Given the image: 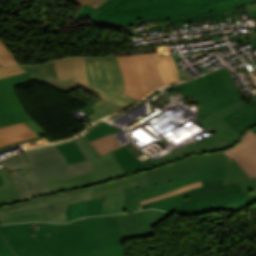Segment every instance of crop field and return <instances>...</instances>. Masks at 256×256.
I'll return each instance as SVG.
<instances>
[{
	"mask_svg": "<svg viewBox=\"0 0 256 256\" xmlns=\"http://www.w3.org/2000/svg\"><path fill=\"white\" fill-rule=\"evenodd\" d=\"M169 215L141 210L68 224H5L0 232L17 256H126L124 239L154 234L152 227Z\"/></svg>",
	"mask_w": 256,
	"mask_h": 256,
	"instance_id": "crop-field-1",
	"label": "crop field"
},
{
	"mask_svg": "<svg viewBox=\"0 0 256 256\" xmlns=\"http://www.w3.org/2000/svg\"><path fill=\"white\" fill-rule=\"evenodd\" d=\"M224 179L204 182L203 186L143 204L142 208H158L180 215L223 210L246 196L238 182L223 185Z\"/></svg>",
	"mask_w": 256,
	"mask_h": 256,
	"instance_id": "crop-field-2",
	"label": "crop field"
},
{
	"mask_svg": "<svg viewBox=\"0 0 256 256\" xmlns=\"http://www.w3.org/2000/svg\"><path fill=\"white\" fill-rule=\"evenodd\" d=\"M90 18L98 25L120 28L152 20L168 19L167 0H108L94 9L82 6L72 24Z\"/></svg>",
	"mask_w": 256,
	"mask_h": 256,
	"instance_id": "crop-field-3",
	"label": "crop field"
},
{
	"mask_svg": "<svg viewBox=\"0 0 256 256\" xmlns=\"http://www.w3.org/2000/svg\"><path fill=\"white\" fill-rule=\"evenodd\" d=\"M169 88L182 92L183 98L194 97L199 105L197 121L242 99L227 68Z\"/></svg>",
	"mask_w": 256,
	"mask_h": 256,
	"instance_id": "crop-field-4",
	"label": "crop field"
},
{
	"mask_svg": "<svg viewBox=\"0 0 256 256\" xmlns=\"http://www.w3.org/2000/svg\"><path fill=\"white\" fill-rule=\"evenodd\" d=\"M78 142L77 144L87 161L67 165L65 159L61 156L35 163H29L30 167L11 172L16 180L23 201L51 194L45 178L58 176L61 180L73 175L94 170L87 154Z\"/></svg>",
	"mask_w": 256,
	"mask_h": 256,
	"instance_id": "crop-field-5",
	"label": "crop field"
},
{
	"mask_svg": "<svg viewBox=\"0 0 256 256\" xmlns=\"http://www.w3.org/2000/svg\"><path fill=\"white\" fill-rule=\"evenodd\" d=\"M84 71L89 83L86 87L97 95L124 107L136 102L122 95L123 78L115 57L84 58Z\"/></svg>",
	"mask_w": 256,
	"mask_h": 256,
	"instance_id": "crop-field-6",
	"label": "crop field"
},
{
	"mask_svg": "<svg viewBox=\"0 0 256 256\" xmlns=\"http://www.w3.org/2000/svg\"><path fill=\"white\" fill-rule=\"evenodd\" d=\"M77 140L88 154L95 171L61 181L57 177L46 179L52 194L126 176L112 152L99 157L84 136Z\"/></svg>",
	"mask_w": 256,
	"mask_h": 256,
	"instance_id": "crop-field-7",
	"label": "crop field"
},
{
	"mask_svg": "<svg viewBox=\"0 0 256 256\" xmlns=\"http://www.w3.org/2000/svg\"><path fill=\"white\" fill-rule=\"evenodd\" d=\"M88 189H81L73 192L60 193L49 197H42L26 201L20 204L0 208V220L8 218L7 213L17 210L33 208L34 211L21 215L46 212L50 222H67L65 218L66 205L72 202L89 200Z\"/></svg>",
	"mask_w": 256,
	"mask_h": 256,
	"instance_id": "crop-field-8",
	"label": "crop field"
},
{
	"mask_svg": "<svg viewBox=\"0 0 256 256\" xmlns=\"http://www.w3.org/2000/svg\"><path fill=\"white\" fill-rule=\"evenodd\" d=\"M227 166L228 164L218 168L177 177L173 179L170 183H158L155 184L153 187L149 185L139 189H135L133 187L127 188L125 193L126 198L123 212L138 210V206H140L139 201L159 196L177 188L187 186L196 181L201 180L202 182H204L213 179L223 178L226 175Z\"/></svg>",
	"mask_w": 256,
	"mask_h": 256,
	"instance_id": "crop-field-9",
	"label": "crop field"
},
{
	"mask_svg": "<svg viewBox=\"0 0 256 256\" xmlns=\"http://www.w3.org/2000/svg\"><path fill=\"white\" fill-rule=\"evenodd\" d=\"M33 80L27 72L0 79V127L25 121L37 136L46 134L26 114L14 90V86Z\"/></svg>",
	"mask_w": 256,
	"mask_h": 256,
	"instance_id": "crop-field-10",
	"label": "crop field"
},
{
	"mask_svg": "<svg viewBox=\"0 0 256 256\" xmlns=\"http://www.w3.org/2000/svg\"><path fill=\"white\" fill-rule=\"evenodd\" d=\"M228 161L229 157L223 152L196 155L145 173L153 186L157 182H170L174 177L218 167L227 164Z\"/></svg>",
	"mask_w": 256,
	"mask_h": 256,
	"instance_id": "crop-field-11",
	"label": "crop field"
},
{
	"mask_svg": "<svg viewBox=\"0 0 256 256\" xmlns=\"http://www.w3.org/2000/svg\"><path fill=\"white\" fill-rule=\"evenodd\" d=\"M117 59L124 78V95L139 100L152 91L143 54Z\"/></svg>",
	"mask_w": 256,
	"mask_h": 256,
	"instance_id": "crop-field-12",
	"label": "crop field"
},
{
	"mask_svg": "<svg viewBox=\"0 0 256 256\" xmlns=\"http://www.w3.org/2000/svg\"><path fill=\"white\" fill-rule=\"evenodd\" d=\"M215 1L218 0H168L169 19L172 22L213 16L226 19L223 12H217Z\"/></svg>",
	"mask_w": 256,
	"mask_h": 256,
	"instance_id": "crop-field-13",
	"label": "crop field"
},
{
	"mask_svg": "<svg viewBox=\"0 0 256 256\" xmlns=\"http://www.w3.org/2000/svg\"><path fill=\"white\" fill-rule=\"evenodd\" d=\"M223 152L233 158L250 178L256 176V134L254 132L248 130L236 146Z\"/></svg>",
	"mask_w": 256,
	"mask_h": 256,
	"instance_id": "crop-field-14",
	"label": "crop field"
},
{
	"mask_svg": "<svg viewBox=\"0 0 256 256\" xmlns=\"http://www.w3.org/2000/svg\"><path fill=\"white\" fill-rule=\"evenodd\" d=\"M244 105L245 104L243 100H241L237 103H234L216 111L215 113L211 114L210 116L204 118L197 123L203 128L211 130L214 132V134L235 144L236 142H238L241 133L230 124H228L226 121H224L222 117L243 107Z\"/></svg>",
	"mask_w": 256,
	"mask_h": 256,
	"instance_id": "crop-field-15",
	"label": "crop field"
},
{
	"mask_svg": "<svg viewBox=\"0 0 256 256\" xmlns=\"http://www.w3.org/2000/svg\"><path fill=\"white\" fill-rule=\"evenodd\" d=\"M232 145L233 144L214 135L206 139L197 141L195 143L189 144L178 150H175L165 157H162V158L158 157L159 159L152 160V163L154 167H157L162 164L183 158L187 155H191L195 153H204V152H216V151L224 150Z\"/></svg>",
	"mask_w": 256,
	"mask_h": 256,
	"instance_id": "crop-field-16",
	"label": "crop field"
},
{
	"mask_svg": "<svg viewBox=\"0 0 256 256\" xmlns=\"http://www.w3.org/2000/svg\"><path fill=\"white\" fill-rule=\"evenodd\" d=\"M22 68H24L30 75H33V77H35L36 79H39L44 84L62 89L64 91H70L75 88V84L73 80H58L52 62L39 65V66L22 67ZM80 88L86 93L98 97L94 93L90 92L85 86H81Z\"/></svg>",
	"mask_w": 256,
	"mask_h": 256,
	"instance_id": "crop-field-17",
	"label": "crop field"
},
{
	"mask_svg": "<svg viewBox=\"0 0 256 256\" xmlns=\"http://www.w3.org/2000/svg\"><path fill=\"white\" fill-rule=\"evenodd\" d=\"M149 185V182L144 173L131 176L127 179L117 180L109 184L100 185L97 187L88 188L91 198H100L118 194H124L126 187L133 186L139 188Z\"/></svg>",
	"mask_w": 256,
	"mask_h": 256,
	"instance_id": "crop-field-18",
	"label": "crop field"
},
{
	"mask_svg": "<svg viewBox=\"0 0 256 256\" xmlns=\"http://www.w3.org/2000/svg\"><path fill=\"white\" fill-rule=\"evenodd\" d=\"M53 63L59 79H74L76 86L88 85L83 71V58H66Z\"/></svg>",
	"mask_w": 256,
	"mask_h": 256,
	"instance_id": "crop-field-19",
	"label": "crop field"
},
{
	"mask_svg": "<svg viewBox=\"0 0 256 256\" xmlns=\"http://www.w3.org/2000/svg\"><path fill=\"white\" fill-rule=\"evenodd\" d=\"M241 133L256 124V100L223 117Z\"/></svg>",
	"mask_w": 256,
	"mask_h": 256,
	"instance_id": "crop-field-20",
	"label": "crop field"
},
{
	"mask_svg": "<svg viewBox=\"0 0 256 256\" xmlns=\"http://www.w3.org/2000/svg\"><path fill=\"white\" fill-rule=\"evenodd\" d=\"M102 201L103 198L69 204L66 212L68 221L83 216L102 215Z\"/></svg>",
	"mask_w": 256,
	"mask_h": 256,
	"instance_id": "crop-field-21",
	"label": "crop field"
},
{
	"mask_svg": "<svg viewBox=\"0 0 256 256\" xmlns=\"http://www.w3.org/2000/svg\"><path fill=\"white\" fill-rule=\"evenodd\" d=\"M0 177L4 182L0 185V205L22 201L15 180L9 170H0Z\"/></svg>",
	"mask_w": 256,
	"mask_h": 256,
	"instance_id": "crop-field-22",
	"label": "crop field"
},
{
	"mask_svg": "<svg viewBox=\"0 0 256 256\" xmlns=\"http://www.w3.org/2000/svg\"><path fill=\"white\" fill-rule=\"evenodd\" d=\"M235 181L239 182L246 194H249L253 191L256 196V177L250 179L248 175L244 172V170L232 159L229 162L224 184Z\"/></svg>",
	"mask_w": 256,
	"mask_h": 256,
	"instance_id": "crop-field-23",
	"label": "crop field"
},
{
	"mask_svg": "<svg viewBox=\"0 0 256 256\" xmlns=\"http://www.w3.org/2000/svg\"><path fill=\"white\" fill-rule=\"evenodd\" d=\"M116 159L120 163L121 167L125 171L126 175L132 174L137 171L146 170L152 168L151 161L142 164L135 156H133L126 147H121L113 151Z\"/></svg>",
	"mask_w": 256,
	"mask_h": 256,
	"instance_id": "crop-field-24",
	"label": "crop field"
},
{
	"mask_svg": "<svg viewBox=\"0 0 256 256\" xmlns=\"http://www.w3.org/2000/svg\"><path fill=\"white\" fill-rule=\"evenodd\" d=\"M61 155L62 154L57 149L43 152V153H38V154L27 155V156H24V154L21 153L14 157H11L9 159L2 161V163L6 166L7 169L12 171L15 169L29 166L28 162H35V161L44 160V159L57 157Z\"/></svg>",
	"mask_w": 256,
	"mask_h": 256,
	"instance_id": "crop-field-25",
	"label": "crop field"
},
{
	"mask_svg": "<svg viewBox=\"0 0 256 256\" xmlns=\"http://www.w3.org/2000/svg\"><path fill=\"white\" fill-rule=\"evenodd\" d=\"M153 57L164 85L180 80L172 56L158 57L157 53H153Z\"/></svg>",
	"mask_w": 256,
	"mask_h": 256,
	"instance_id": "crop-field-26",
	"label": "crop field"
},
{
	"mask_svg": "<svg viewBox=\"0 0 256 256\" xmlns=\"http://www.w3.org/2000/svg\"><path fill=\"white\" fill-rule=\"evenodd\" d=\"M55 147L64 155L68 164L85 160L75 140L55 145Z\"/></svg>",
	"mask_w": 256,
	"mask_h": 256,
	"instance_id": "crop-field-27",
	"label": "crop field"
},
{
	"mask_svg": "<svg viewBox=\"0 0 256 256\" xmlns=\"http://www.w3.org/2000/svg\"><path fill=\"white\" fill-rule=\"evenodd\" d=\"M95 112L88 114V116L95 122L98 119L109 115L117 110H120L124 107H121L115 103H112L110 101H107L105 99L91 105Z\"/></svg>",
	"mask_w": 256,
	"mask_h": 256,
	"instance_id": "crop-field-28",
	"label": "crop field"
},
{
	"mask_svg": "<svg viewBox=\"0 0 256 256\" xmlns=\"http://www.w3.org/2000/svg\"><path fill=\"white\" fill-rule=\"evenodd\" d=\"M28 133L32 131L25 122L0 128V141Z\"/></svg>",
	"mask_w": 256,
	"mask_h": 256,
	"instance_id": "crop-field-29",
	"label": "crop field"
},
{
	"mask_svg": "<svg viewBox=\"0 0 256 256\" xmlns=\"http://www.w3.org/2000/svg\"><path fill=\"white\" fill-rule=\"evenodd\" d=\"M125 195L104 198L103 215L122 213Z\"/></svg>",
	"mask_w": 256,
	"mask_h": 256,
	"instance_id": "crop-field-30",
	"label": "crop field"
},
{
	"mask_svg": "<svg viewBox=\"0 0 256 256\" xmlns=\"http://www.w3.org/2000/svg\"><path fill=\"white\" fill-rule=\"evenodd\" d=\"M116 142L117 140L114 138L113 134H111L92 142V145L95 147L100 156H102L119 148L120 146Z\"/></svg>",
	"mask_w": 256,
	"mask_h": 256,
	"instance_id": "crop-field-31",
	"label": "crop field"
},
{
	"mask_svg": "<svg viewBox=\"0 0 256 256\" xmlns=\"http://www.w3.org/2000/svg\"><path fill=\"white\" fill-rule=\"evenodd\" d=\"M31 210L32 209L10 213L9 214L10 218L1 220L0 224L1 223H11V222L47 221L45 213L35 214V215H27V216L21 217L20 213L31 211Z\"/></svg>",
	"mask_w": 256,
	"mask_h": 256,
	"instance_id": "crop-field-32",
	"label": "crop field"
},
{
	"mask_svg": "<svg viewBox=\"0 0 256 256\" xmlns=\"http://www.w3.org/2000/svg\"><path fill=\"white\" fill-rule=\"evenodd\" d=\"M120 130L117 127L110 126L104 122H100L97 124L94 128H92L88 133H86V137L89 139V141H93L97 138L103 137L105 135L114 133L116 131Z\"/></svg>",
	"mask_w": 256,
	"mask_h": 256,
	"instance_id": "crop-field-33",
	"label": "crop field"
},
{
	"mask_svg": "<svg viewBox=\"0 0 256 256\" xmlns=\"http://www.w3.org/2000/svg\"><path fill=\"white\" fill-rule=\"evenodd\" d=\"M144 56H145V61H146L150 81L152 84V88L155 89L157 87L163 86L160 75L154 63L152 54H144Z\"/></svg>",
	"mask_w": 256,
	"mask_h": 256,
	"instance_id": "crop-field-34",
	"label": "crop field"
},
{
	"mask_svg": "<svg viewBox=\"0 0 256 256\" xmlns=\"http://www.w3.org/2000/svg\"><path fill=\"white\" fill-rule=\"evenodd\" d=\"M19 65L12 52L0 40V66Z\"/></svg>",
	"mask_w": 256,
	"mask_h": 256,
	"instance_id": "crop-field-35",
	"label": "crop field"
},
{
	"mask_svg": "<svg viewBox=\"0 0 256 256\" xmlns=\"http://www.w3.org/2000/svg\"><path fill=\"white\" fill-rule=\"evenodd\" d=\"M253 2H256V0H237V1L222 0V1L216 2V4H217L218 11H225V10L234 9L239 6H242L248 3H253Z\"/></svg>",
	"mask_w": 256,
	"mask_h": 256,
	"instance_id": "crop-field-36",
	"label": "crop field"
},
{
	"mask_svg": "<svg viewBox=\"0 0 256 256\" xmlns=\"http://www.w3.org/2000/svg\"><path fill=\"white\" fill-rule=\"evenodd\" d=\"M256 198L253 193H250L246 197L242 198L241 200L237 201L233 205L229 206L228 208L224 209L226 211H237L243 207L250 205L251 203L255 202Z\"/></svg>",
	"mask_w": 256,
	"mask_h": 256,
	"instance_id": "crop-field-37",
	"label": "crop field"
},
{
	"mask_svg": "<svg viewBox=\"0 0 256 256\" xmlns=\"http://www.w3.org/2000/svg\"><path fill=\"white\" fill-rule=\"evenodd\" d=\"M22 72H25L24 69H22L20 66L15 67H0V78L20 74Z\"/></svg>",
	"mask_w": 256,
	"mask_h": 256,
	"instance_id": "crop-field-38",
	"label": "crop field"
},
{
	"mask_svg": "<svg viewBox=\"0 0 256 256\" xmlns=\"http://www.w3.org/2000/svg\"><path fill=\"white\" fill-rule=\"evenodd\" d=\"M201 182H197V183H194V184H191L187 187H184V188H180L178 190H175V191H172L170 193H167V194H164L162 196H159V197H156V198H152V199H149V200H145V201H141L140 203L143 204V203H146V202H150V201H153V200H156V199H160V198H163V197H166V196H169V195H173V194H176V193H179V192H183V191H187V190H190V189H194V188H197L199 186H201Z\"/></svg>",
	"mask_w": 256,
	"mask_h": 256,
	"instance_id": "crop-field-39",
	"label": "crop field"
},
{
	"mask_svg": "<svg viewBox=\"0 0 256 256\" xmlns=\"http://www.w3.org/2000/svg\"><path fill=\"white\" fill-rule=\"evenodd\" d=\"M0 256H15L0 234Z\"/></svg>",
	"mask_w": 256,
	"mask_h": 256,
	"instance_id": "crop-field-40",
	"label": "crop field"
},
{
	"mask_svg": "<svg viewBox=\"0 0 256 256\" xmlns=\"http://www.w3.org/2000/svg\"><path fill=\"white\" fill-rule=\"evenodd\" d=\"M33 137H36V135L34 133L24 135V136H20V137H16V138L9 139V140H5V141H1L0 142V147L5 146L7 144H11V143L20 142V141H23V140H26V139H30V138H33Z\"/></svg>",
	"mask_w": 256,
	"mask_h": 256,
	"instance_id": "crop-field-41",
	"label": "crop field"
},
{
	"mask_svg": "<svg viewBox=\"0 0 256 256\" xmlns=\"http://www.w3.org/2000/svg\"><path fill=\"white\" fill-rule=\"evenodd\" d=\"M80 6H82L84 3L96 8L102 3H104L106 0H70Z\"/></svg>",
	"mask_w": 256,
	"mask_h": 256,
	"instance_id": "crop-field-42",
	"label": "crop field"
},
{
	"mask_svg": "<svg viewBox=\"0 0 256 256\" xmlns=\"http://www.w3.org/2000/svg\"><path fill=\"white\" fill-rule=\"evenodd\" d=\"M51 149H55V148L53 146H49V147H44V148L27 151V152H24V154L27 155V154H32V153H38V152H43V151H47V150H51Z\"/></svg>",
	"mask_w": 256,
	"mask_h": 256,
	"instance_id": "crop-field-43",
	"label": "crop field"
},
{
	"mask_svg": "<svg viewBox=\"0 0 256 256\" xmlns=\"http://www.w3.org/2000/svg\"><path fill=\"white\" fill-rule=\"evenodd\" d=\"M26 141L37 143L38 145H41L40 138H38V137L30 139V140H26Z\"/></svg>",
	"mask_w": 256,
	"mask_h": 256,
	"instance_id": "crop-field-44",
	"label": "crop field"
},
{
	"mask_svg": "<svg viewBox=\"0 0 256 256\" xmlns=\"http://www.w3.org/2000/svg\"><path fill=\"white\" fill-rule=\"evenodd\" d=\"M246 6H247V8H248L249 11L256 10V3H254V4H249V5H246Z\"/></svg>",
	"mask_w": 256,
	"mask_h": 256,
	"instance_id": "crop-field-45",
	"label": "crop field"
},
{
	"mask_svg": "<svg viewBox=\"0 0 256 256\" xmlns=\"http://www.w3.org/2000/svg\"><path fill=\"white\" fill-rule=\"evenodd\" d=\"M252 18H256V11L249 12Z\"/></svg>",
	"mask_w": 256,
	"mask_h": 256,
	"instance_id": "crop-field-46",
	"label": "crop field"
},
{
	"mask_svg": "<svg viewBox=\"0 0 256 256\" xmlns=\"http://www.w3.org/2000/svg\"><path fill=\"white\" fill-rule=\"evenodd\" d=\"M252 131H254V132H256V128H254V129H251Z\"/></svg>",
	"mask_w": 256,
	"mask_h": 256,
	"instance_id": "crop-field-47",
	"label": "crop field"
},
{
	"mask_svg": "<svg viewBox=\"0 0 256 256\" xmlns=\"http://www.w3.org/2000/svg\"><path fill=\"white\" fill-rule=\"evenodd\" d=\"M3 182L1 181V179H0V184H2Z\"/></svg>",
	"mask_w": 256,
	"mask_h": 256,
	"instance_id": "crop-field-48",
	"label": "crop field"
}]
</instances>
